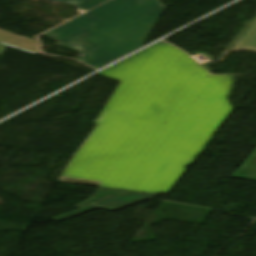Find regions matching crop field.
Instances as JSON below:
<instances>
[{
	"label": "crop field",
	"instance_id": "1",
	"mask_svg": "<svg viewBox=\"0 0 256 256\" xmlns=\"http://www.w3.org/2000/svg\"><path fill=\"white\" fill-rule=\"evenodd\" d=\"M98 74L121 83L61 182L170 192L233 110L229 76L163 41Z\"/></svg>",
	"mask_w": 256,
	"mask_h": 256
},
{
	"label": "crop field",
	"instance_id": "2",
	"mask_svg": "<svg viewBox=\"0 0 256 256\" xmlns=\"http://www.w3.org/2000/svg\"><path fill=\"white\" fill-rule=\"evenodd\" d=\"M90 9L106 0H46ZM159 0H112L45 34L100 68L140 47L164 11Z\"/></svg>",
	"mask_w": 256,
	"mask_h": 256
},
{
	"label": "crop field",
	"instance_id": "3",
	"mask_svg": "<svg viewBox=\"0 0 256 256\" xmlns=\"http://www.w3.org/2000/svg\"><path fill=\"white\" fill-rule=\"evenodd\" d=\"M156 194H145V195H128V196H119V197H115L112 199H109L107 201L77 210V211H73L55 218H52L54 220L60 221L75 215H78L80 213L98 208V207H102L105 208L107 210L113 211V210H117L126 206H129L131 204L155 197Z\"/></svg>",
	"mask_w": 256,
	"mask_h": 256
},
{
	"label": "crop field",
	"instance_id": "4",
	"mask_svg": "<svg viewBox=\"0 0 256 256\" xmlns=\"http://www.w3.org/2000/svg\"><path fill=\"white\" fill-rule=\"evenodd\" d=\"M240 50L256 51V18L232 48L230 53Z\"/></svg>",
	"mask_w": 256,
	"mask_h": 256
},
{
	"label": "crop field",
	"instance_id": "5",
	"mask_svg": "<svg viewBox=\"0 0 256 256\" xmlns=\"http://www.w3.org/2000/svg\"><path fill=\"white\" fill-rule=\"evenodd\" d=\"M132 193H140V192H132V191H124V190H116V189H109V188H103L99 187L98 190L95 192V194L88 198L86 201L76 205V207H81L87 204H91L103 199H107L119 194H132Z\"/></svg>",
	"mask_w": 256,
	"mask_h": 256
},
{
	"label": "crop field",
	"instance_id": "6",
	"mask_svg": "<svg viewBox=\"0 0 256 256\" xmlns=\"http://www.w3.org/2000/svg\"><path fill=\"white\" fill-rule=\"evenodd\" d=\"M5 47H6V46H4V45H0V55H1V53L3 52V50L5 49Z\"/></svg>",
	"mask_w": 256,
	"mask_h": 256
}]
</instances>
